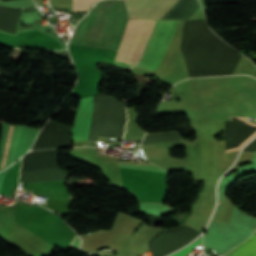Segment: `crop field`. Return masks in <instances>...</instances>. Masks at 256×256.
<instances>
[{
    "label": "crop field",
    "instance_id": "crop-field-1",
    "mask_svg": "<svg viewBox=\"0 0 256 256\" xmlns=\"http://www.w3.org/2000/svg\"><path fill=\"white\" fill-rule=\"evenodd\" d=\"M128 18L123 0H102L76 26L69 43L117 50Z\"/></svg>",
    "mask_w": 256,
    "mask_h": 256
},
{
    "label": "crop field",
    "instance_id": "crop-field-11",
    "mask_svg": "<svg viewBox=\"0 0 256 256\" xmlns=\"http://www.w3.org/2000/svg\"><path fill=\"white\" fill-rule=\"evenodd\" d=\"M202 243V238H200L198 241L195 243L190 244L188 247L182 249L181 251L171 255V256H186V254L189 253L190 249L198 244Z\"/></svg>",
    "mask_w": 256,
    "mask_h": 256
},
{
    "label": "crop field",
    "instance_id": "crop-field-5",
    "mask_svg": "<svg viewBox=\"0 0 256 256\" xmlns=\"http://www.w3.org/2000/svg\"><path fill=\"white\" fill-rule=\"evenodd\" d=\"M93 96L79 101L74 125L71 131L73 140H87L92 117Z\"/></svg>",
    "mask_w": 256,
    "mask_h": 256
},
{
    "label": "crop field",
    "instance_id": "crop-field-3",
    "mask_svg": "<svg viewBox=\"0 0 256 256\" xmlns=\"http://www.w3.org/2000/svg\"><path fill=\"white\" fill-rule=\"evenodd\" d=\"M65 181L66 179H62L32 182L29 184L47 196L49 207L51 209L66 214L72 202V198L63 185Z\"/></svg>",
    "mask_w": 256,
    "mask_h": 256
},
{
    "label": "crop field",
    "instance_id": "crop-field-10",
    "mask_svg": "<svg viewBox=\"0 0 256 256\" xmlns=\"http://www.w3.org/2000/svg\"><path fill=\"white\" fill-rule=\"evenodd\" d=\"M97 0H74L73 10H87Z\"/></svg>",
    "mask_w": 256,
    "mask_h": 256
},
{
    "label": "crop field",
    "instance_id": "crop-field-2",
    "mask_svg": "<svg viewBox=\"0 0 256 256\" xmlns=\"http://www.w3.org/2000/svg\"><path fill=\"white\" fill-rule=\"evenodd\" d=\"M179 21L157 20L142 61L136 65L154 71L165 57Z\"/></svg>",
    "mask_w": 256,
    "mask_h": 256
},
{
    "label": "crop field",
    "instance_id": "crop-field-13",
    "mask_svg": "<svg viewBox=\"0 0 256 256\" xmlns=\"http://www.w3.org/2000/svg\"><path fill=\"white\" fill-rule=\"evenodd\" d=\"M5 173H6V170H4L3 172L0 173V187H1Z\"/></svg>",
    "mask_w": 256,
    "mask_h": 256
},
{
    "label": "crop field",
    "instance_id": "crop-field-7",
    "mask_svg": "<svg viewBox=\"0 0 256 256\" xmlns=\"http://www.w3.org/2000/svg\"><path fill=\"white\" fill-rule=\"evenodd\" d=\"M208 247L217 255H221L233 248L211 231H208L204 236V249Z\"/></svg>",
    "mask_w": 256,
    "mask_h": 256
},
{
    "label": "crop field",
    "instance_id": "crop-field-9",
    "mask_svg": "<svg viewBox=\"0 0 256 256\" xmlns=\"http://www.w3.org/2000/svg\"><path fill=\"white\" fill-rule=\"evenodd\" d=\"M10 127L11 126L9 125L8 130H7V134H6V138H5V142H4V146H3V149H2L1 157H0V163H1V160H2V156H3V152H4V149H5L6 142H7ZM14 127L15 126L11 127V131H10V134H9L8 142H7L6 149H5L4 156H3V160H2V163H1V167H3V165H4V161H5V158H6V155H7V151H8L9 144H10V141H11V137H12V134H13V131H14Z\"/></svg>",
    "mask_w": 256,
    "mask_h": 256
},
{
    "label": "crop field",
    "instance_id": "crop-field-8",
    "mask_svg": "<svg viewBox=\"0 0 256 256\" xmlns=\"http://www.w3.org/2000/svg\"><path fill=\"white\" fill-rule=\"evenodd\" d=\"M224 256H256V234Z\"/></svg>",
    "mask_w": 256,
    "mask_h": 256
},
{
    "label": "crop field",
    "instance_id": "crop-field-12",
    "mask_svg": "<svg viewBox=\"0 0 256 256\" xmlns=\"http://www.w3.org/2000/svg\"><path fill=\"white\" fill-rule=\"evenodd\" d=\"M80 244V239L79 237L76 235L75 239L73 240V242L71 243L70 247L71 248H75L78 249V246ZM79 250V249H78Z\"/></svg>",
    "mask_w": 256,
    "mask_h": 256
},
{
    "label": "crop field",
    "instance_id": "crop-field-4",
    "mask_svg": "<svg viewBox=\"0 0 256 256\" xmlns=\"http://www.w3.org/2000/svg\"><path fill=\"white\" fill-rule=\"evenodd\" d=\"M129 19H141L158 0H124ZM179 0H159L142 19H160Z\"/></svg>",
    "mask_w": 256,
    "mask_h": 256
},
{
    "label": "crop field",
    "instance_id": "crop-field-6",
    "mask_svg": "<svg viewBox=\"0 0 256 256\" xmlns=\"http://www.w3.org/2000/svg\"><path fill=\"white\" fill-rule=\"evenodd\" d=\"M142 20H129L115 60L127 63Z\"/></svg>",
    "mask_w": 256,
    "mask_h": 256
}]
</instances>
